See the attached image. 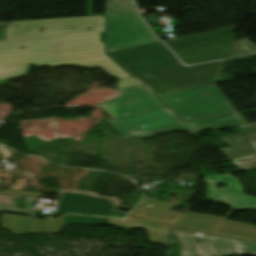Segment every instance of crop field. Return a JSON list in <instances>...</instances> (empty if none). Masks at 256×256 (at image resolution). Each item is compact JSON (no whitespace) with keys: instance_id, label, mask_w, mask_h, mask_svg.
Masks as SVG:
<instances>
[{"instance_id":"1","label":"crop field","mask_w":256,"mask_h":256,"mask_svg":"<svg viewBox=\"0 0 256 256\" xmlns=\"http://www.w3.org/2000/svg\"><path fill=\"white\" fill-rule=\"evenodd\" d=\"M13 22L0 32V80L30 75L29 65L101 67L110 76L129 77L103 52L99 41L104 17H78ZM21 24L19 28H11ZM44 27V33L37 32ZM85 27H91L87 31ZM20 46L25 49L19 50ZM5 76V78H3Z\"/></svg>"},{"instance_id":"2","label":"crop field","mask_w":256,"mask_h":256,"mask_svg":"<svg viewBox=\"0 0 256 256\" xmlns=\"http://www.w3.org/2000/svg\"><path fill=\"white\" fill-rule=\"evenodd\" d=\"M107 52L156 42L131 0L106 1Z\"/></svg>"},{"instance_id":"3","label":"crop field","mask_w":256,"mask_h":256,"mask_svg":"<svg viewBox=\"0 0 256 256\" xmlns=\"http://www.w3.org/2000/svg\"><path fill=\"white\" fill-rule=\"evenodd\" d=\"M235 27L165 41L184 64L227 57L234 41Z\"/></svg>"},{"instance_id":"4","label":"crop field","mask_w":256,"mask_h":256,"mask_svg":"<svg viewBox=\"0 0 256 256\" xmlns=\"http://www.w3.org/2000/svg\"><path fill=\"white\" fill-rule=\"evenodd\" d=\"M185 120L234 114L214 85L158 95Z\"/></svg>"},{"instance_id":"5","label":"crop field","mask_w":256,"mask_h":256,"mask_svg":"<svg viewBox=\"0 0 256 256\" xmlns=\"http://www.w3.org/2000/svg\"><path fill=\"white\" fill-rule=\"evenodd\" d=\"M221 63L222 61H219L181 69L151 73L157 78L156 80H154L150 74L136 77V79L148 87L154 94L207 85L213 83Z\"/></svg>"},{"instance_id":"6","label":"crop field","mask_w":256,"mask_h":256,"mask_svg":"<svg viewBox=\"0 0 256 256\" xmlns=\"http://www.w3.org/2000/svg\"><path fill=\"white\" fill-rule=\"evenodd\" d=\"M109 122L124 138H147L156 132L165 130H187L191 133L196 132L167 107ZM141 125H145L146 127L142 128Z\"/></svg>"},{"instance_id":"7","label":"crop field","mask_w":256,"mask_h":256,"mask_svg":"<svg viewBox=\"0 0 256 256\" xmlns=\"http://www.w3.org/2000/svg\"><path fill=\"white\" fill-rule=\"evenodd\" d=\"M107 55L132 75L182 66L161 42Z\"/></svg>"},{"instance_id":"8","label":"crop field","mask_w":256,"mask_h":256,"mask_svg":"<svg viewBox=\"0 0 256 256\" xmlns=\"http://www.w3.org/2000/svg\"><path fill=\"white\" fill-rule=\"evenodd\" d=\"M117 91L123 95L101 104L115 119L165 107L145 87H134Z\"/></svg>"},{"instance_id":"9","label":"crop field","mask_w":256,"mask_h":256,"mask_svg":"<svg viewBox=\"0 0 256 256\" xmlns=\"http://www.w3.org/2000/svg\"><path fill=\"white\" fill-rule=\"evenodd\" d=\"M208 182V199L230 203L236 210L256 209V198L244 196L238 179L229 174L203 177ZM216 182L225 184L227 189H217Z\"/></svg>"},{"instance_id":"10","label":"crop field","mask_w":256,"mask_h":256,"mask_svg":"<svg viewBox=\"0 0 256 256\" xmlns=\"http://www.w3.org/2000/svg\"><path fill=\"white\" fill-rule=\"evenodd\" d=\"M182 248V256H234L228 239L203 237L196 244L192 236L174 232Z\"/></svg>"},{"instance_id":"11","label":"crop field","mask_w":256,"mask_h":256,"mask_svg":"<svg viewBox=\"0 0 256 256\" xmlns=\"http://www.w3.org/2000/svg\"><path fill=\"white\" fill-rule=\"evenodd\" d=\"M0 227L13 233L14 235L42 233L56 234L61 233L64 223L63 217L57 220L42 221L38 219L2 214Z\"/></svg>"},{"instance_id":"12","label":"crop field","mask_w":256,"mask_h":256,"mask_svg":"<svg viewBox=\"0 0 256 256\" xmlns=\"http://www.w3.org/2000/svg\"><path fill=\"white\" fill-rule=\"evenodd\" d=\"M165 192L164 189L153 191L148 196L160 197L159 194ZM148 196L146 199L138 205L131 213V216H137L161 223L171 225L176 220L181 218L184 214L176 213L170 211L175 205L156 201L149 199ZM168 196L163 195V199L167 200ZM149 213H155L156 215H151Z\"/></svg>"},{"instance_id":"13","label":"crop field","mask_w":256,"mask_h":256,"mask_svg":"<svg viewBox=\"0 0 256 256\" xmlns=\"http://www.w3.org/2000/svg\"><path fill=\"white\" fill-rule=\"evenodd\" d=\"M243 135L246 136L247 140L256 153V132L221 137L220 139L228 142L231 147L221 148L219 150L228 158L252 154V156L235 158L232 160L243 170L256 168V155H253L254 153Z\"/></svg>"},{"instance_id":"14","label":"crop field","mask_w":256,"mask_h":256,"mask_svg":"<svg viewBox=\"0 0 256 256\" xmlns=\"http://www.w3.org/2000/svg\"><path fill=\"white\" fill-rule=\"evenodd\" d=\"M59 200L63 213L110 217L113 205L110 201L82 199V195L63 193Z\"/></svg>"},{"instance_id":"15","label":"crop field","mask_w":256,"mask_h":256,"mask_svg":"<svg viewBox=\"0 0 256 256\" xmlns=\"http://www.w3.org/2000/svg\"><path fill=\"white\" fill-rule=\"evenodd\" d=\"M210 218H212L213 220H210ZM225 219L226 218L224 217L189 212L181 219H179L177 222H175L173 226L211 232L217 226H219Z\"/></svg>"},{"instance_id":"16","label":"crop field","mask_w":256,"mask_h":256,"mask_svg":"<svg viewBox=\"0 0 256 256\" xmlns=\"http://www.w3.org/2000/svg\"><path fill=\"white\" fill-rule=\"evenodd\" d=\"M253 231H250V230ZM210 234L256 241V228L249 224L225 220Z\"/></svg>"},{"instance_id":"17","label":"crop field","mask_w":256,"mask_h":256,"mask_svg":"<svg viewBox=\"0 0 256 256\" xmlns=\"http://www.w3.org/2000/svg\"><path fill=\"white\" fill-rule=\"evenodd\" d=\"M240 123H245L238 114L204 119L189 122L197 130H207L219 127L232 126Z\"/></svg>"},{"instance_id":"18","label":"crop field","mask_w":256,"mask_h":256,"mask_svg":"<svg viewBox=\"0 0 256 256\" xmlns=\"http://www.w3.org/2000/svg\"><path fill=\"white\" fill-rule=\"evenodd\" d=\"M15 196L18 195H0V211L32 216L28 213V211L34 205L38 198L26 196L23 201V209H19L17 206H15Z\"/></svg>"},{"instance_id":"19","label":"crop field","mask_w":256,"mask_h":256,"mask_svg":"<svg viewBox=\"0 0 256 256\" xmlns=\"http://www.w3.org/2000/svg\"><path fill=\"white\" fill-rule=\"evenodd\" d=\"M106 221H107V218L64 216V222L66 225H70V224L84 225V226L104 225Z\"/></svg>"},{"instance_id":"20","label":"crop field","mask_w":256,"mask_h":256,"mask_svg":"<svg viewBox=\"0 0 256 256\" xmlns=\"http://www.w3.org/2000/svg\"><path fill=\"white\" fill-rule=\"evenodd\" d=\"M253 53H256V46L247 39H242L235 41L228 58Z\"/></svg>"},{"instance_id":"21","label":"crop field","mask_w":256,"mask_h":256,"mask_svg":"<svg viewBox=\"0 0 256 256\" xmlns=\"http://www.w3.org/2000/svg\"><path fill=\"white\" fill-rule=\"evenodd\" d=\"M237 255L256 256V244L232 241Z\"/></svg>"},{"instance_id":"22","label":"crop field","mask_w":256,"mask_h":256,"mask_svg":"<svg viewBox=\"0 0 256 256\" xmlns=\"http://www.w3.org/2000/svg\"><path fill=\"white\" fill-rule=\"evenodd\" d=\"M125 221H129V222H133V223H137V224H141V225H146V226H150V227H154V228H158V229H162V230H166L168 228V226L148 222V221L137 219V218L130 217V216H128L125 219Z\"/></svg>"},{"instance_id":"23","label":"crop field","mask_w":256,"mask_h":256,"mask_svg":"<svg viewBox=\"0 0 256 256\" xmlns=\"http://www.w3.org/2000/svg\"><path fill=\"white\" fill-rule=\"evenodd\" d=\"M139 85L141 84L138 83L135 79L129 78L126 80L119 81L118 88L129 87V86H139Z\"/></svg>"},{"instance_id":"24","label":"crop field","mask_w":256,"mask_h":256,"mask_svg":"<svg viewBox=\"0 0 256 256\" xmlns=\"http://www.w3.org/2000/svg\"><path fill=\"white\" fill-rule=\"evenodd\" d=\"M240 127L244 133L256 131V123L245 124Z\"/></svg>"},{"instance_id":"25","label":"crop field","mask_w":256,"mask_h":256,"mask_svg":"<svg viewBox=\"0 0 256 256\" xmlns=\"http://www.w3.org/2000/svg\"><path fill=\"white\" fill-rule=\"evenodd\" d=\"M168 230L187 232V233H193V234H199V235H207L208 234V233H203V232L184 230V229H178V228H172V227H169Z\"/></svg>"},{"instance_id":"26","label":"crop field","mask_w":256,"mask_h":256,"mask_svg":"<svg viewBox=\"0 0 256 256\" xmlns=\"http://www.w3.org/2000/svg\"><path fill=\"white\" fill-rule=\"evenodd\" d=\"M83 198H89V199H97V198H92V197H89V196H85V195H83ZM101 200H107V199H101Z\"/></svg>"}]
</instances>
